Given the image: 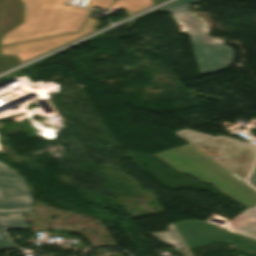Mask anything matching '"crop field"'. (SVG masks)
I'll use <instances>...</instances> for the list:
<instances>
[{
	"label": "crop field",
	"mask_w": 256,
	"mask_h": 256,
	"mask_svg": "<svg viewBox=\"0 0 256 256\" xmlns=\"http://www.w3.org/2000/svg\"><path fill=\"white\" fill-rule=\"evenodd\" d=\"M189 35L201 75L228 68L232 58L230 48L221 44L206 43L202 33Z\"/></svg>",
	"instance_id": "f4fd0767"
},
{
	"label": "crop field",
	"mask_w": 256,
	"mask_h": 256,
	"mask_svg": "<svg viewBox=\"0 0 256 256\" xmlns=\"http://www.w3.org/2000/svg\"><path fill=\"white\" fill-rule=\"evenodd\" d=\"M231 230L256 237V208L246 210L230 221Z\"/></svg>",
	"instance_id": "3316defc"
},
{
	"label": "crop field",
	"mask_w": 256,
	"mask_h": 256,
	"mask_svg": "<svg viewBox=\"0 0 256 256\" xmlns=\"http://www.w3.org/2000/svg\"><path fill=\"white\" fill-rule=\"evenodd\" d=\"M19 64L17 59L13 56L10 57H0V72L7 70L15 65Z\"/></svg>",
	"instance_id": "cbeb9de0"
},
{
	"label": "crop field",
	"mask_w": 256,
	"mask_h": 256,
	"mask_svg": "<svg viewBox=\"0 0 256 256\" xmlns=\"http://www.w3.org/2000/svg\"><path fill=\"white\" fill-rule=\"evenodd\" d=\"M197 0H178L174 3H171L163 8L161 10L163 12H178V11H185L188 10L187 7L191 2H194Z\"/></svg>",
	"instance_id": "22f410ed"
},
{
	"label": "crop field",
	"mask_w": 256,
	"mask_h": 256,
	"mask_svg": "<svg viewBox=\"0 0 256 256\" xmlns=\"http://www.w3.org/2000/svg\"><path fill=\"white\" fill-rule=\"evenodd\" d=\"M154 4L153 0H116L113 5L124 9L129 16Z\"/></svg>",
	"instance_id": "d1516ede"
},
{
	"label": "crop field",
	"mask_w": 256,
	"mask_h": 256,
	"mask_svg": "<svg viewBox=\"0 0 256 256\" xmlns=\"http://www.w3.org/2000/svg\"><path fill=\"white\" fill-rule=\"evenodd\" d=\"M164 14H166L171 20H173L188 34L190 32H203L206 42L218 43L204 31L199 19L195 15H193L189 10L185 12H179V13H164Z\"/></svg>",
	"instance_id": "5a996713"
},
{
	"label": "crop field",
	"mask_w": 256,
	"mask_h": 256,
	"mask_svg": "<svg viewBox=\"0 0 256 256\" xmlns=\"http://www.w3.org/2000/svg\"><path fill=\"white\" fill-rule=\"evenodd\" d=\"M249 184L253 185L256 188V165L254 167V170L248 180Z\"/></svg>",
	"instance_id": "d9b57169"
},
{
	"label": "crop field",
	"mask_w": 256,
	"mask_h": 256,
	"mask_svg": "<svg viewBox=\"0 0 256 256\" xmlns=\"http://www.w3.org/2000/svg\"><path fill=\"white\" fill-rule=\"evenodd\" d=\"M66 0H21L24 22L1 39V46L79 31L89 10Z\"/></svg>",
	"instance_id": "ac0d7876"
},
{
	"label": "crop field",
	"mask_w": 256,
	"mask_h": 256,
	"mask_svg": "<svg viewBox=\"0 0 256 256\" xmlns=\"http://www.w3.org/2000/svg\"><path fill=\"white\" fill-rule=\"evenodd\" d=\"M191 144L156 155L182 174L194 176L236 202L254 209L256 191L243 183L256 157V146L193 130L174 132Z\"/></svg>",
	"instance_id": "8a807250"
},
{
	"label": "crop field",
	"mask_w": 256,
	"mask_h": 256,
	"mask_svg": "<svg viewBox=\"0 0 256 256\" xmlns=\"http://www.w3.org/2000/svg\"><path fill=\"white\" fill-rule=\"evenodd\" d=\"M112 2L113 0H89L86 6L89 8L91 6L110 8Z\"/></svg>",
	"instance_id": "5142ce71"
},
{
	"label": "crop field",
	"mask_w": 256,
	"mask_h": 256,
	"mask_svg": "<svg viewBox=\"0 0 256 256\" xmlns=\"http://www.w3.org/2000/svg\"><path fill=\"white\" fill-rule=\"evenodd\" d=\"M152 236H154L164 244L174 247L181 256H193L173 224L169 225L168 232L156 233L152 234Z\"/></svg>",
	"instance_id": "28ad6ade"
},
{
	"label": "crop field",
	"mask_w": 256,
	"mask_h": 256,
	"mask_svg": "<svg viewBox=\"0 0 256 256\" xmlns=\"http://www.w3.org/2000/svg\"><path fill=\"white\" fill-rule=\"evenodd\" d=\"M189 249L201 247L210 242L231 243L256 252V240L239 233L229 232L212 224L187 221L174 224Z\"/></svg>",
	"instance_id": "34b2d1b8"
},
{
	"label": "crop field",
	"mask_w": 256,
	"mask_h": 256,
	"mask_svg": "<svg viewBox=\"0 0 256 256\" xmlns=\"http://www.w3.org/2000/svg\"><path fill=\"white\" fill-rule=\"evenodd\" d=\"M32 206L24 177L0 161V210H30Z\"/></svg>",
	"instance_id": "412701ff"
},
{
	"label": "crop field",
	"mask_w": 256,
	"mask_h": 256,
	"mask_svg": "<svg viewBox=\"0 0 256 256\" xmlns=\"http://www.w3.org/2000/svg\"><path fill=\"white\" fill-rule=\"evenodd\" d=\"M27 228L23 211H0V247L14 246L5 229Z\"/></svg>",
	"instance_id": "d8731c3e"
},
{
	"label": "crop field",
	"mask_w": 256,
	"mask_h": 256,
	"mask_svg": "<svg viewBox=\"0 0 256 256\" xmlns=\"http://www.w3.org/2000/svg\"><path fill=\"white\" fill-rule=\"evenodd\" d=\"M23 22V6L20 0H0V39Z\"/></svg>",
	"instance_id": "e52e79f7"
},
{
	"label": "crop field",
	"mask_w": 256,
	"mask_h": 256,
	"mask_svg": "<svg viewBox=\"0 0 256 256\" xmlns=\"http://www.w3.org/2000/svg\"><path fill=\"white\" fill-rule=\"evenodd\" d=\"M92 13H93V10H91L80 32L60 35V36H55V37H50V38H45L40 40H34V41H29V42L14 44V45L3 46L1 47V54L11 55V54L49 51L73 39H76L80 36L90 33L96 30L100 23L98 20L90 18Z\"/></svg>",
	"instance_id": "dd49c442"
}]
</instances>
